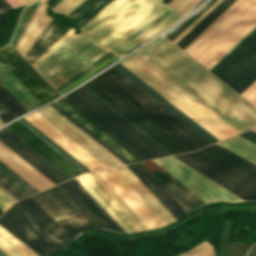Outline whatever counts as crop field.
Wrapping results in <instances>:
<instances>
[{
	"mask_svg": "<svg viewBox=\"0 0 256 256\" xmlns=\"http://www.w3.org/2000/svg\"><path fill=\"white\" fill-rule=\"evenodd\" d=\"M0 223L43 256L57 252L74 239L30 197L21 200Z\"/></svg>",
	"mask_w": 256,
	"mask_h": 256,
	"instance_id": "e52e79f7",
	"label": "crop field"
},
{
	"mask_svg": "<svg viewBox=\"0 0 256 256\" xmlns=\"http://www.w3.org/2000/svg\"><path fill=\"white\" fill-rule=\"evenodd\" d=\"M168 8L156 0H114L81 31L109 49Z\"/></svg>",
	"mask_w": 256,
	"mask_h": 256,
	"instance_id": "dd49c442",
	"label": "crop field"
},
{
	"mask_svg": "<svg viewBox=\"0 0 256 256\" xmlns=\"http://www.w3.org/2000/svg\"><path fill=\"white\" fill-rule=\"evenodd\" d=\"M239 135L242 136V137H244V138H246V139H248V140H250V141H252L253 143L256 144V133H255V132L249 130V131L244 132V133H241V134H239ZM250 141H249V142H250ZM252 142H251V143H252Z\"/></svg>",
	"mask_w": 256,
	"mask_h": 256,
	"instance_id": "0fb4a251",
	"label": "crop field"
},
{
	"mask_svg": "<svg viewBox=\"0 0 256 256\" xmlns=\"http://www.w3.org/2000/svg\"><path fill=\"white\" fill-rule=\"evenodd\" d=\"M256 26V0H237L183 51L208 70Z\"/></svg>",
	"mask_w": 256,
	"mask_h": 256,
	"instance_id": "34b2d1b8",
	"label": "crop field"
},
{
	"mask_svg": "<svg viewBox=\"0 0 256 256\" xmlns=\"http://www.w3.org/2000/svg\"><path fill=\"white\" fill-rule=\"evenodd\" d=\"M28 112L0 83V119L6 123Z\"/></svg>",
	"mask_w": 256,
	"mask_h": 256,
	"instance_id": "750c4746",
	"label": "crop field"
},
{
	"mask_svg": "<svg viewBox=\"0 0 256 256\" xmlns=\"http://www.w3.org/2000/svg\"><path fill=\"white\" fill-rule=\"evenodd\" d=\"M62 35L63 34L60 32V30L51 22L25 57L32 64Z\"/></svg>",
	"mask_w": 256,
	"mask_h": 256,
	"instance_id": "bd1437ed",
	"label": "crop field"
},
{
	"mask_svg": "<svg viewBox=\"0 0 256 256\" xmlns=\"http://www.w3.org/2000/svg\"><path fill=\"white\" fill-rule=\"evenodd\" d=\"M113 54L111 53H106L105 55H103L102 57H100L98 60H96L95 62H93L92 64H90L89 66H87L86 68H84L82 71H80L79 73H77L76 75H74L73 77H71L70 79H68L67 81H65L63 84H61L60 86H58L57 88H55L58 92L61 91L62 89H64L65 87H67L68 85H70L71 83H73L75 80H77L78 78H80L81 76H83L84 74H86L87 72H89L90 70H92L93 68H95L96 66H98L99 64H101L103 61H105L106 59H108L109 57H111Z\"/></svg>",
	"mask_w": 256,
	"mask_h": 256,
	"instance_id": "c035e120",
	"label": "crop field"
},
{
	"mask_svg": "<svg viewBox=\"0 0 256 256\" xmlns=\"http://www.w3.org/2000/svg\"><path fill=\"white\" fill-rule=\"evenodd\" d=\"M252 130L256 132V128H255V129H252Z\"/></svg>",
	"mask_w": 256,
	"mask_h": 256,
	"instance_id": "78b8030e",
	"label": "crop field"
},
{
	"mask_svg": "<svg viewBox=\"0 0 256 256\" xmlns=\"http://www.w3.org/2000/svg\"><path fill=\"white\" fill-rule=\"evenodd\" d=\"M23 5L32 3L30 0H19Z\"/></svg>",
	"mask_w": 256,
	"mask_h": 256,
	"instance_id": "9d1cf04e",
	"label": "crop field"
},
{
	"mask_svg": "<svg viewBox=\"0 0 256 256\" xmlns=\"http://www.w3.org/2000/svg\"><path fill=\"white\" fill-rule=\"evenodd\" d=\"M31 198L74 238L81 230L97 227L57 186Z\"/></svg>",
	"mask_w": 256,
	"mask_h": 256,
	"instance_id": "d1516ede",
	"label": "crop field"
},
{
	"mask_svg": "<svg viewBox=\"0 0 256 256\" xmlns=\"http://www.w3.org/2000/svg\"><path fill=\"white\" fill-rule=\"evenodd\" d=\"M217 144L256 164V145L248 140L236 135Z\"/></svg>",
	"mask_w": 256,
	"mask_h": 256,
	"instance_id": "1d83c4d3",
	"label": "crop field"
},
{
	"mask_svg": "<svg viewBox=\"0 0 256 256\" xmlns=\"http://www.w3.org/2000/svg\"><path fill=\"white\" fill-rule=\"evenodd\" d=\"M222 0H217L213 3L202 15H200L190 26H188L178 37H176L172 42L175 44L188 33L199 21H201L215 6H217Z\"/></svg>",
	"mask_w": 256,
	"mask_h": 256,
	"instance_id": "d23c7cc5",
	"label": "crop field"
},
{
	"mask_svg": "<svg viewBox=\"0 0 256 256\" xmlns=\"http://www.w3.org/2000/svg\"><path fill=\"white\" fill-rule=\"evenodd\" d=\"M0 141L55 184L68 179V177L62 174L5 128L0 130Z\"/></svg>",
	"mask_w": 256,
	"mask_h": 256,
	"instance_id": "214f88e0",
	"label": "crop field"
},
{
	"mask_svg": "<svg viewBox=\"0 0 256 256\" xmlns=\"http://www.w3.org/2000/svg\"><path fill=\"white\" fill-rule=\"evenodd\" d=\"M240 95L256 106V80Z\"/></svg>",
	"mask_w": 256,
	"mask_h": 256,
	"instance_id": "73cf0c24",
	"label": "crop field"
},
{
	"mask_svg": "<svg viewBox=\"0 0 256 256\" xmlns=\"http://www.w3.org/2000/svg\"><path fill=\"white\" fill-rule=\"evenodd\" d=\"M22 123H24L27 127H29L31 130H33L36 134H38L41 138H43L46 142H48L51 146H53L55 149H57L60 153H62L65 157H67L70 161H72L74 164H76L79 168H81L84 172H88L86 167H84L81 163H79L76 159H74L72 156H70L67 152H65L63 149H61L58 145H56L53 141H51L49 138H47L44 134H42L40 131H38L35 127H33L30 123H28L23 118L20 119ZM23 124V125H24ZM28 128V129H29ZM32 131V132H33Z\"/></svg>",
	"mask_w": 256,
	"mask_h": 256,
	"instance_id": "b80d0937",
	"label": "crop field"
},
{
	"mask_svg": "<svg viewBox=\"0 0 256 256\" xmlns=\"http://www.w3.org/2000/svg\"><path fill=\"white\" fill-rule=\"evenodd\" d=\"M0 256H4V255L0 252Z\"/></svg>",
	"mask_w": 256,
	"mask_h": 256,
	"instance_id": "7b73153f",
	"label": "crop field"
},
{
	"mask_svg": "<svg viewBox=\"0 0 256 256\" xmlns=\"http://www.w3.org/2000/svg\"><path fill=\"white\" fill-rule=\"evenodd\" d=\"M103 172L112 180V182L125 194V196L138 208V210L155 227L164 226L160 219L149 209V207L138 197V195L128 186V184L111 168Z\"/></svg>",
	"mask_w": 256,
	"mask_h": 256,
	"instance_id": "730fd06b",
	"label": "crop field"
},
{
	"mask_svg": "<svg viewBox=\"0 0 256 256\" xmlns=\"http://www.w3.org/2000/svg\"><path fill=\"white\" fill-rule=\"evenodd\" d=\"M54 103L57 104L59 107H61L64 111H66L69 115H71L73 118H75L82 125H84L91 132H93L96 136H98L101 140H103L105 143H107L110 147H112L114 150H116L119 154H121L128 161H130L131 163L139 161L134 156H132L130 153H128L125 149H123L120 145H118L116 142H114L111 138H109L106 134H104L102 131H100L97 127H95L92 123H90L87 119H85L78 112H76L73 108H71L69 105H67L64 101H62L60 99Z\"/></svg>",
	"mask_w": 256,
	"mask_h": 256,
	"instance_id": "ae1a2a85",
	"label": "crop field"
},
{
	"mask_svg": "<svg viewBox=\"0 0 256 256\" xmlns=\"http://www.w3.org/2000/svg\"><path fill=\"white\" fill-rule=\"evenodd\" d=\"M82 234H90V235H99V236H103L106 237L108 239H111L113 241H132L130 237H124V236H117V235H113V234H109L106 232H100V233H82ZM81 234V235H82Z\"/></svg>",
	"mask_w": 256,
	"mask_h": 256,
	"instance_id": "89e229c0",
	"label": "crop field"
},
{
	"mask_svg": "<svg viewBox=\"0 0 256 256\" xmlns=\"http://www.w3.org/2000/svg\"><path fill=\"white\" fill-rule=\"evenodd\" d=\"M210 71L239 94L246 89L256 79V29Z\"/></svg>",
	"mask_w": 256,
	"mask_h": 256,
	"instance_id": "5a996713",
	"label": "crop field"
},
{
	"mask_svg": "<svg viewBox=\"0 0 256 256\" xmlns=\"http://www.w3.org/2000/svg\"><path fill=\"white\" fill-rule=\"evenodd\" d=\"M0 251L6 256H37L1 227Z\"/></svg>",
	"mask_w": 256,
	"mask_h": 256,
	"instance_id": "d32e631a",
	"label": "crop field"
},
{
	"mask_svg": "<svg viewBox=\"0 0 256 256\" xmlns=\"http://www.w3.org/2000/svg\"><path fill=\"white\" fill-rule=\"evenodd\" d=\"M87 91H89L92 95H94L97 99H99L101 102H103L106 106H108L111 110H113L115 113H117L120 117H122L124 120H126L129 124H131L134 128H136L138 131H140L143 135H145L148 139H150L152 142H154L157 146H159L162 150H164L169 155H172L168 150H166L164 147H162L159 143H157L155 140H153L151 137H149L146 133H144L142 130H140L138 127H136L134 124H132L129 120H127L125 117H123L121 114H119L116 110H114L111 106H109L106 102H104L101 98H99L97 95H95L92 91H90L87 87L84 85L82 86Z\"/></svg>",
	"mask_w": 256,
	"mask_h": 256,
	"instance_id": "425ffa30",
	"label": "crop field"
},
{
	"mask_svg": "<svg viewBox=\"0 0 256 256\" xmlns=\"http://www.w3.org/2000/svg\"><path fill=\"white\" fill-rule=\"evenodd\" d=\"M24 119L30 122L91 171L106 168L36 112L24 117Z\"/></svg>",
	"mask_w": 256,
	"mask_h": 256,
	"instance_id": "733c2abd",
	"label": "crop field"
},
{
	"mask_svg": "<svg viewBox=\"0 0 256 256\" xmlns=\"http://www.w3.org/2000/svg\"><path fill=\"white\" fill-rule=\"evenodd\" d=\"M244 201L256 200V165L214 144L174 155Z\"/></svg>",
	"mask_w": 256,
	"mask_h": 256,
	"instance_id": "f4fd0767",
	"label": "crop field"
},
{
	"mask_svg": "<svg viewBox=\"0 0 256 256\" xmlns=\"http://www.w3.org/2000/svg\"><path fill=\"white\" fill-rule=\"evenodd\" d=\"M121 63L218 140L239 133L137 52Z\"/></svg>",
	"mask_w": 256,
	"mask_h": 256,
	"instance_id": "412701ff",
	"label": "crop field"
},
{
	"mask_svg": "<svg viewBox=\"0 0 256 256\" xmlns=\"http://www.w3.org/2000/svg\"><path fill=\"white\" fill-rule=\"evenodd\" d=\"M111 1L113 0H86L68 16L78 22L80 27H82Z\"/></svg>",
	"mask_w": 256,
	"mask_h": 256,
	"instance_id": "120bbe31",
	"label": "crop field"
},
{
	"mask_svg": "<svg viewBox=\"0 0 256 256\" xmlns=\"http://www.w3.org/2000/svg\"><path fill=\"white\" fill-rule=\"evenodd\" d=\"M73 33L71 28L32 64L54 88L108 52L83 34Z\"/></svg>",
	"mask_w": 256,
	"mask_h": 256,
	"instance_id": "d8731c3e",
	"label": "crop field"
},
{
	"mask_svg": "<svg viewBox=\"0 0 256 256\" xmlns=\"http://www.w3.org/2000/svg\"><path fill=\"white\" fill-rule=\"evenodd\" d=\"M4 211L0 209V215L3 213Z\"/></svg>",
	"mask_w": 256,
	"mask_h": 256,
	"instance_id": "0765c3eb",
	"label": "crop field"
},
{
	"mask_svg": "<svg viewBox=\"0 0 256 256\" xmlns=\"http://www.w3.org/2000/svg\"><path fill=\"white\" fill-rule=\"evenodd\" d=\"M144 170L156 181V183L168 194V196L180 207L186 214L195 209L199 205L205 203L195 194L189 191L186 187L178 181L162 186L157 179L146 169V167L139 163Z\"/></svg>",
	"mask_w": 256,
	"mask_h": 256,
	"instance_id": "4177f3b9",
	"label": "crop field"
},
{
	"mask_svg": "<svg viewBox=\"0 0 256 256\" xmlns=\"http://www.w3.org/2000/svg\"><path fill=\"white\" fill-rule=\"evenodd\" d=\"M0 160L39 191L54 183L0 142ZM0 161V186L18 200L38 192Z\"/></svg>",
	"mask_w": 256,
	"mask_h": 256,
	"instance_id": "3316defc",
	"label": "crop field"
},
{
	"mask_svg": "<svg viewBox=\"0 0 256 256\" xmlns=\"http://www.w3.org/2000/svg\"><path fill=\"white\" fill-rule=\"evenodd\" d=\"M169 1H171V0H162V2H164V3H168Z\"/></svg>",
	"mask_w": 256,
	"mask_h": 256,
	"instance_id": "447ae74e",
	"label": "crop field"
},
{
	"mask_svg": "<svg viewBox=\"0 0 256 256\" xmlns=\"http://www.w3.org/2000/svg\"><path fill=\"white\" fill-rule=\"evenodd\" d=\"M84 85L173 154L209 145L112 68Z\"/></svg>",
	"mask_w": 256,
	"mask_h": 256,
	"instance_id": "ac0d7876",
	"label": "crop field"
},
{
	"mask_svg": "<svg viewBox=\"0 0 256 256\" xmlns=\"http://www.w3.org/2000/svg\"><path fill=\"white\" fill-rule=\"evenodd\" d=\"M181 17L183 15L170 8L109 50L121 57L129 50L155 37Z\"/></svg>",
	"mask_w": 256,
	"mask_h": 256,
	"instance_id": "4a817a6b",
	"label": "crop field"
},
{
	"mask_svg": "<svg viewBox=\"0 0 256 256\" xmlns=\"http://www.w3.org/2000/svg\"><path fill=\"white\" fill-rule=\"evenodd\" d=\"M14 203L9 197L0 191V208L4 211Z\"/></svg>",
	"mask_w": 256,
	"mask_h": 256,
	"instance_id": "dbb93151",
	"label": "crop field"
},
{
	"mask_svg": "<svg viewBox=\"0 0 256 256\" xmlns=\"http://www.w3.org/2000/svg\"><path fill=\"white\" fill-rule=\"evenodd\" d=\"M137 52L240 132L256 126L254 107L164 36Z\"/></svg>",
	"mask_w": 256,
	"mask_h": 256,
	"instance_id": "8a807250",
	"label": "crop field"
},
{
	"mask_svg": "<svg viewBox=\"0 0 256 256\" xmlns=\"http://www.w3.org/2000/svg\"><path fill=\"white\" fill-rule=\"evenodd\" d=\"M161 1V0H160Z\"/></svg>",
	"mask_w": 256,
	"mask_h": 256,
	"instance_id": "ae633e8c",
	"label": "crop field"
},
{
	"mask_svg": "<svg viewBox=\"0 0 256 256\" xmlns=\"http://www.w3.org/2000/svg\"><path fill=\"white\" fill-rule=\"evenodd\" d=\"M153 162L205 202L216 200L242 201L172 156L153 160Z\"/></svg>",
	"mask_w": 256,
	"mask_h": 256,
	"instance_id": "22f410ed",
	"label": "crop field"
},
{
	"mask_svg": "<svg viewBox=\"0 0 256 256\" xmlns=\"http://www.w3.org/2000/svg\"><path fill=\"white\" fill-rule=\"evenodd\" d=\"M44 2L46 1V0H43Z\"/></svg>",
	"mask_w": 256,
	"mask_h": 256,
	"instance_id": "e1d0b9f6",
	"label": "crop field"
},
{
	"mask_svg": "<svg viewBox=\"0 0 256 256\" xmlns=\"http://www.w3.org/2000/svg\"><path fill=\"white\" fill-rule=\"evenodd\" d=\"M33 2L37 1V0H32Z\"/></svg>",
	"mask_w": 256,
	"mask_h": 256,
	"instance_id": "0f1d7ab4",
	"label": "crop field"
},
{
	"mask_svg": "<svg viewBox=\"0 0 256 256\" xmlns=\"http://www.w3.org/2000/svg\"><path fill=\"white\" fill-rule=\"evenodd\" d=\"M4 124L1 120H0V125Z\"/></svg>",
	"mask_w": 256,
	"mask_h": 256,
	"instance_id": "db79e9e6",
	"label": "crop field"
},
{
	"mask_svg": "<svg viewBox=\"0 0 256 256\" xmlns=\"http://www.w3.org/2000/svg\"><path fill=\"white\" fill-rule=\"evenodd\" d=\"M97 182L110 194V196L123 208V210L136 222V224L142 229L147 228L141 223V221L128 209V207L114 194V192L101 180V178L95 173H90Z\"/></svg>",
	"mask_w": 256,
	"mask_h": 256,
	"instance_id": "e1f06a70",
	"label": "crop field"
},
{
	"mask_svg": "<svg viewBox=\"0 0 256 256\" xmlns=\"http://www.w3.org/2000/svg\"><path fill=\"white\" fill-rule=\"evenodd\" d=\"M0 70L36 107L58 97L9 45L0 47Z\"/></svg>",
	"mask_w": 256,
	"mask_h": 256,
	"instance_id": "28ad6ade",
	"label": "crop field"
},
{
	"mask_svg": "<svg viewBox=\"0 0 256 256\" xmlns=\"http://www.w3.org/2000/svg\"><path fill=\"white\" fill-rule=\"evenodd\" d=\"M79 96H81L84 100L90 103L93 107L99 110L102 114L108 117L111 121L121 127L124 131L130 134L133 138L139 141L142 145L148 148L151 152H153L158 157L167 156L164 151H162L159 147H157L154 143L148 140L145 136H143L140 132L134 129L131 125L125 122L122 118H120L117 114L111 111L108 107H106L103 103L97 100L94 96H92L89 92H87L82 87L76 89L74 91Z\"/></svg>",
	"mask_w": 256,
	"mask_h": 256,
	"instance_id": "00972430",
	"label": "crop field"
},
{
	"mask_svg": "<svg viewBox=\"0 0 256 256\" xmlns=\"http://www.w3.org/2000/svg\"><path fill=\"white\" fill-rule=\"evenodd\" d=\"M12 9L13 8L5 0H0V27L4 22V15Z\"/></svg>",
	"mask_w": 256,
	"mask_h": 256,
	"instance_id": "1f2cbd36",
	"label": "crop field"
},
{
	"mask_svg": "<svg viewBox=\"0 0 256 256\" xmlns=\"http://www.w3.org/2000/svg\"><path fill=\"white\" fill-rule=\"evenodd\" d=\"M101 178L102 180L115 192V194L129 207V209L142 221V223L148 228H154L149 222L148 220L135 208V206L121 193V191L108 179V177L102 172V171H98L96 172Z\"/></svg>",
	"mask_w": 256,
	"mask_h": 256,
	"instance_id": "028f5c9d",
	"label": "crop field"
},
{
	"mask_svg": "<svg viewBox=\"0 0 256 256\" xmlns=\"http://www.w3.org/2000/svg\"><path fill=\"white\" fill-rule=\"evenodd\" d=\"M201 0H172L167 5L186 14Z\"/></svg>",
	"mask_w": 256,
	"mask_h": 256,
	"instance_id": "b54c1fbb",
	"label": "crop field"
},
{
	"mask_svg": "<svg viewBox=\"0 0 256 256\" xmlns=\"http://www.w3.org/2000/svg\"><path fill=\"white\" fill-rule=\"evenodd\" d=\"M52 18H50L49 16L46 15L45 19L43 20V22L41 23L40 27L38 28V30L36 31V33L34 34V36L32 37V39L30 40V42L28 43L27 47L25 48V50L23 51V55L25 56V54L28 52V50L31 48V46L34 44V42L37 40V38L39 37V35L42 33V31L45 29V27L48 25V23L51 21ZM53 20V19H52Z\"/></svg>",
	"mask_w": 256,
	"mask_h": 256,
	"instance_id": "25e5ab78",
	"label": "crop field"
},
{
	"mask_svg": "<svg viewBox=\"0 0 256 256\" xmlns=\"http://www.w3.org/2000/svg\"><path fill=\"white\" fill-rule=\"evenodd\" d=\"M50 105L53 106L56 110H58L60 113H62L65 117H67L70 121H72L79 128H81L84 132H86L94 140H96L98 143H100L103 147H105L113 155H115L117 158H119L122 162H124L125 164H129L130 163L126 159H124L121 155H119L116 151H114L112 148H110L107 144H105L103 141H101L98 137H96L94 134H92L89 130H87L84 126H82L80 123H78L75 119H73L71 116H69L66 112H64L57 105H55L54 103H52Z\"/></svg>",
	"mask_w": 256,
	"mask_h": 256,
	"instance_id": "0bd39190",
	"label": "crop field"
},
{
	"mask_svg": "<svg viewBox=\"0 0 256 256\" xmlns=\"http://www.w3.org/2000/svg\"><path fill=\"white\" fill-rule=\"evenodd\" d=\"M84 0H62L52 9L61 14H69L77 6H79Z\"/></svg>",
	"mask_w": 256,
	"mask_h": 256,
	"instance_id": "03da06ac",
	"label": "crop field"
},
{
	"mask_svg": "<svg viewBox=\"0 0 256 256\" xmlns=\"http://www.w3.org/2000/svg\"><path fill=\"white\" fill-rule=\"evenodd\" d=\"M127 167L132 171V173L145 185V187L158 199V201L171 213V215L178 220L183 215H185L178 206L165 194V192L153 181V179L142 169L138 164L127 165ZM135 169L140 173V175L147 181V183L154 189L152 190L148 187L143 180L136 173Z\"/></svg>",
	"mask_w": 256,
	"mask_h": 256,
	"instance_id": "eef30255",
	"label": "crop field"
},
{
	"mask_svg": "<svg viewBox=\"0 0 256 256\" xmlns=\"http://www.w3.org/2000/svg\"><path fill=\"white\" fill-rule=\"evenodd\" d=\"M46 7H48L46 4H44L42 1H40L34 15L32 16L25 32L23 33L18 45H17V50L22 53L24 50L25 46L29 42L30 38L34 34L35 30L39 26L40 22L46 15Z\"/></svg>",
	"mask_w": 256,
	"mask_h": 256,
	"instance_id": "5866460e",
	"label": "crop field"
},
{
	"mask_svg": "<svg viewBox=\"0 0 256 256\" xmlns=\"http://www.w3.org/2000/svg\"><path fill=\"white\" fill-rule=\"evenodd\" d=\"M76 179L126 233L141 231L135 222L122 210V208L108 195V193L95 181V179L89 173L82 174L76 177Z\"/></svg>",
	"mask_w": 256,
	"mask_h": 256,
	"instance_id": "bc2a9ffb",
	"label": "crop field"
},
{
	"mask_svg": "<svg viewBox=\"0 0 256 256\" xmlns=\"http://www.w3.org/2000/svg\"><path fill=\"white\" fill-rule=\"evenodd\" d=\"M112 68L115 69L117 72H119L126 79H128L135 86H137L144 93H146L153 100H155L158 104H160L162 107H164L167 111H169L171 114H173L176 118H178L180 121H182L185 125H187L189 128H191L194 132H196L198 135H200L207 142L212 144V143L218 141L213 136H211L209 133H207L204 129H202L199 125H197L195 122H193L190 118H188L185 114H183L181 111H179L176 107H174L172 104H170L167 100H165L163 97H161L158 93H156L154 90H152L144 82H142L140 79H138L135 75H133L131 72H129L122 65H120L118 63Z\"/></svg>",
	"mask_w": 256,
	"mask_h": 256,
	"instance_id": "dafd665d",
	"label": "crop field"
},
{
	"mask_svg": "<svg viewBox=\"0 0 256 256\" xmlns=\"http://www.w3.org/2000/svg\"><path fill=\"white\" fill-rule=\"evenodd\" d=\"M236 0H223L201 22H199L185 37L176 45L182 50L191 43L203 30H205L217 17H219Z\"/></svg>",
	"mask_w": 256,
	"mask_h": 256,
	"instance_id": "d3111659",
	"label": "crop field"
},
{
	"mask_svg": "<svg viewBox=\"0 0 256 256\" xmlns=\"http://www.w3.org/2000/svg\"><path fill=\"white\" fill-rule=\"evenodd\" d=\"M69 104L113 137L142 161L158 158L74 92L65 96Z\"/></svg>",
	"mask_w": 256,
	"mask_h": 256,
	"instance_id": "cbeb9de0",
	"label": "crop field"
},
{
	"mask_svg": "<svg viewBox=\"0 0 256 256\" xmlns=\"http://www.w3.org/2000/svg\"><path fill=\"white\" fill-rule=\"evenodd\" d=\"M60 0H47L45 3L48 4L49 7H53L54 5H56Z\"/></svg>",
	"mask_w": 256,
	"mask_h": 256,
	"instance_id": "1d79db26",
	"label": "crop field"
},
{
	"mask_svg": "<svg viewBox=\"0 0 256 256\" xmlns=\"http://www.w3.org/2000/svg\"><path fill=\"white\" fill-rule=\"evenodd\" d=\"M5 128L12 132L15 136H17L20 140L26 143L29 147H31L34 151L40 154L43 158H45L48 162L54 165L69 178L83 172L18 121L13 122Z\"/></svg>",
	"mask_w": 256,
	"mask_h": 256,
	"instance_id": "5142ce71",
	"label": "crop field"
},
{
	"mask_svg": "<svg viewBox=\"0 0 256 256\" xmlns=\"http://www.w3.org/2000/svg\"><path fill=\"white\" fill-rule=\"evenodd\" d=\"M180 256H214V252L212 245L204 241L185 251Z\"/></svg>",
	"mask_w": 256,
	"mask_h": 256,
	"instance_id": "c21b1889",
	"label": "crop field"
},
{
	"mask_svg": "<svg viewBox=\"0 0 256 256\" xmlns=\"http://www.w3.org/2000/svg\"><path fill=\"white\" fill-rule=\"evenodd\" d=\"M50 108L53 112H55L57 115H59L62 119H64L67 123H69L71 126H73L76 130H78L81 134H83L85 137H87L90 141H92L95 145H97L99 148H101L104 152H106L109 156H111L113 159H115L118 163L121 165H124L119 159H117L115 156H113L110 152H108L105 148H103L100 144H98L96 141H94L91 137H89L86 133H84L81 129H79L77 126H75L72 122H70L67 118H65L62 114H60L58 111H56L53 107L50 105L47 106Z\"/></svg>",
	"mask_w": 256,
	"mask_h": 256,
	"instance_id": "5d738f31",
	"label": "crop field"
},
{
	"mask_svg": "<svg viewBox=\"0 0 256 256\" xmlns=\"http://www.w3.org/2000/svg\"><path fill=\"white\" fill-rule=\"evenodd\" d=\"M98 227L124 232L119 225L106 213V211L94 200V198L75 179H71L57 185ZM88 203L100 216L99 219L90 207L79 199L78 195ZM125 233V232H124Z\"/></svg>",
	"mask_w": 256,
	"mask_h": 256,
	"instance_id": "d9b57169",
	"label": "crop field"
},
{
	"mask_svg": "<svg viewBox=\"0 0 256 256\" xmlns=\"http://www.w3.org/2000/svg\"><path fill=\"white\" fill-rule=\"evenodd\" d=\"M37 113L48 120L107 168L120 165L47 107L37 111Z\"/></svg>",
	"mask_w": 256,
	"mask_h": 256,
	"instance_id": "92a150f3",
	"label": "crop field"
},
{
	"mask_svg": "<svg viewBox=\"0 0 256 256\" xmlns=\"http://www.w3.org/2000/svg\"><path fill=\"white\" fill-rule=\"evenodd\" d=\"M114 169L140 196V198L150 207V209L161 219V221L165 225L176 221L126 166L116 167Z\"/></svg>",
	"mask_w": 256,
	"mask_h": 256,
	"instance_id": "a9b5d70f",
	"label": "crop field"
}]
</instances>
